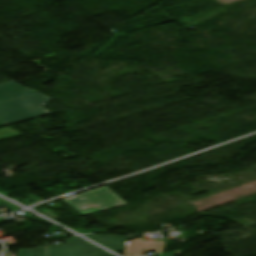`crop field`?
<instances>
[{"label": "crop field", "mask_w": 256, "mask_h": 256, "mask_svg": "<svg viewBox=\"0 0 256 256\" xmlns=\"http://www.w3.org/2000/svg\"><path fill=\"white\" fill-rule=\"evenodd\" d=\"M51 98L12 81L0 85V127L51 114L42 106Z\"/></svg>", "instance_id": "1"}, {"label": "crop field", "mask_w": 256, "mask_h": 256, "mask_svg": "<svg viewBox=\"0 0 256 256\" xmlns=\"http://www.w3.org/2000/svg\"><path fill=\"white\" fill-rule=\"evenodd\" d=\"M62 200L82 216L128 204L106 186Z\"/></svg>", "instance_id": "2"}, {"label": "crop field", "mask_w": 256, "mask_h": 256, "mask_svg": "<svg viewBox=\"0 0 256 256\" xmlns=\"http://www.w3.org/2000/svg\"><path fill=\"white\" fill-rule=\"evenodd\" d=\"M48 256H110V254L77 237H71L65 240V245L49 246Z\"/></svg>", "instance_id": "3"}, {"label": "crop field", "mask_w": 256, "mask_h": 256, "mask_svg": "<svg viewBox=\"0 0 256 256\" xmlns=\"http://www.w3.org/2000/svg\"><path fill=\"white\" fill-rule=\"evenodd\" d=\"M86 237L100 243L101 245L117 252H123L128 237L117 235H86Z\"/></svg>", "instance_id": "4"}, {"label": "crop field", "mask_w": 256, "mask_h": 256, "mask_svg": "<svg viewBox=\"0 0 256 256\" xmlns=\"http://www.w3.org/2000/svg\"><path fill=\"white\" fill-rule=\"evenodd\" d=\"M18 136H22V134L18 133L17 131H15L9 127L0 129V141L18 137Z\"/></svg>", "instance_id": "5"}, {"label": "crop field", "mask_w": 256, "mask_h": 256, "mask_svg": "<svg viewBox=\"0 0 256 256\" xmlns=\"http://www.w3.org/2000/svg\"><path fill=\"white\" fill-rule=\"evenodd\" d=\"M46 246L17 251V256H37L38 253H45Z\"/></svg>", "instance_id": "6"}, {"label": "crop field", "mask_w": 256, "mask_h": 256, "mask_svg": "<svg viewBox=\"0 0 256 256\" xmlns=\"http://www.w3.org/2000/svg\"><path fill=\"white\" fill-rule=\"evenodd\" d=\"M180 251H175V252H167V253H160V254H157V256H173L175 254H179Z\"/></svg>", "instance_id": "7"}]
</instances>
